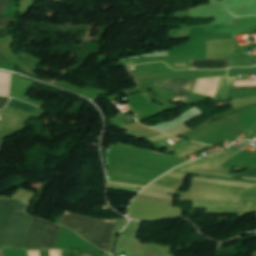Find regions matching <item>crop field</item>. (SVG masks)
Returning <instances> with one entry per match:
<instances>
[{"label": "crop field", "instance_id": "8a807250", "mask_svg": "<svg viewBox=\"0 0 256 256\" xmlns=\"http://www.w3.org/2000/svg\"><path fill=\"white\" fill-rule=\"evenodd\" d=\"M26 206L23 202L0 198V248H16ZM60 227L25 214L16 249L52 248Z\"/></svg>", "mask_w": 256, "mask_h": 256}, {"label": "crop field", "instance_id": "ac0d7876", "mask_svg": "<svg viewBox=\"0 0 256 256\" xmlns=\"http://www.w3.org/2000/svg\"><path fill=\"white\" fill-rule=\"evenodd\" d=\"M117 220L83 217L65 212L59 224L71 228L86 241L108 252L113 228Z\"/></svg>", "mask_w": 256, "mask_h": 256}, {"label": "crop field", "instance_id": "34b2d1b8", "mask_svg": "<svg viewBox=\"0 0 256 256\" xmlns=\"http://www.w3.org/2000/svg\"><path fill=\"white\" fill-rule=\"evenodd\" d=\"M197 79H169L154 83L161 88L177 93L174 100L186 101Z\"/></svg>", "mask_w": 256, "mask_h": 256}, {"label": "crop field", "instance_id": "412701ff", "mask_svg": "<svg viewBox=\"0 0 256 256\" xmlns=\"http://www.w3.org/2000/svg\"><path fill=\"white\" fill-rule=\"evenodd\" d=\"M233 82L228 76L219 77L213 96L219 100L229 99ZM194 92L196 93L197 90H194Z\"/></svg>", "mask_w": 256, "mask_h": 256}, {"label": "crop field", "instance_id": "f4fd0767", "mask_svg": "<svg viewBox=\"0 0 256 256\" xmlns=\"http://www.w3.org/2000/svg\"><path fill=\"white\" fill-rule=\"evenodd\" d=\"M228 61L229 59L191 60L190 67H197V69H225L228 68Z\"/></svg>", "mask_w": 256, "mask_h": 256}, {"label": "crop field", "instance_id": "dd49c442", "mask_svg": "<svg viewBox=\"0 0 256 256\" xmlns=\"http://www.w3.org/2000/svg\"><path fill=\"white\" fill-rule=\"evenodd\" d=\"M8 0H0V14L4 10ZM16 19H0V27H8L10 22H14Z\"/></svg>", "mask_w": 256, "mask_h": 256}, {"label": "crop field", "instance_id": "e52e79f7", "mask_svg": "<svg viewBox=\"0 0 256 256\" xmlns=\"http://www.w3.org/2000/svg\"><path fill=\"white\" fill-rule=\"evenodd\" d=\"M253 91H256V86H251V87H233L232 93L253 92Z\"/></svg>", "mask_w": 256, "mask_h": 256}, {"label": "crop field", "instance_id": "d8731c3e", "mask_svg": "<svg viewBox=\"0 0 256 256\" xmlns=\"http://www.w3.org/2000/svg\"><path fill=\"white\" fill-rule=\"evenodd\" d=\"M11 29L10 28H0V37H5L10 35Z\"/></svg>", "mask_w": 256, "mask_h": 256}, {"label": "crop field", "instance_id": "5a996713", "mask_svg": "<svg viewBox=\"0 0 256 256\" xmlns=\"http://www.w3.org/2000/svg\"><path fill=\"white\" fill-rule=\"evenodd\" d=\"M8 102L7 98L0 97V109H2Z\"/></svg>", "mask_w": 256, "mask_h": 256}, {"label": "crop field", "instance_id": "3316defc", "mask_svg": "<svg viewBox=\"0 0 256 256\" xmlns=\"http://www.w3.org/2000/svg\"><path fill=\"white\" fill-rule=\"evenodd\" d=\"M61 250H50L51 256H61Z\"/></svg>", "mask_w": 256, "mask_h": 256}, {"label": "crop field", "instance_id": "28ad6ade", "mask_svg": "<svg viewBox=\"0 0 256 256\" xmlns=\"http://www.w3.org/2000/svg\"><path fill=\"white\" fill-rule=\"evenodd\" d=\"M28 256H39L38 251H27Z\"/></svg>", "mask_w": 256, "mask_h": 256}]
</instances>
